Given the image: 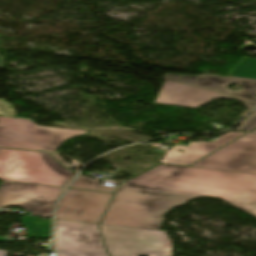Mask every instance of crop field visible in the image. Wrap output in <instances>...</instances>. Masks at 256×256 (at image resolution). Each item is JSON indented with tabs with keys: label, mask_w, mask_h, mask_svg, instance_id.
I'll use <instances>...</instances> for the list:
<instances>
[{
	"label": "crop field",
	"mask_w": 256,
	"mask_h": 256,
	"mask_svg": "<svg viewBox=\"0 0 256 256\" xmlns=\"http://www.w3.org/2000/svg\"><path fill=\"white\" fill-rule=\"evenodd\" d=\"M126 183L220 197L256 216V174L160 165Z\"/></svg>",
	"instance_id": "8a807250"
},
{
	"label": "crop field",
	"mask_w": 256,
	"mask_h": 256,
	"mask_svg": "<svg viewBox=\"0 0 256 256\" xmlns=\"http://www.w3.org/2000/svg\"><path fill=\"white\" fill-rule=\"evenodd\" d=\"M199 197L195 192L122 184L101 224L159 230L169 209Z\"/></svg>",
	"instance_id": "ac0d7876"
},
{
	"label": "crop field",
	"mask_w": 256,
	"mask_h": 256,
	"mask_svg": "<svg viewBox=\"0 0 256 256\" xmlns=\"http://www.w3.org/2000/svg\"><path fill=\"white\" fill-rule=\"evenodd\" d=\"M49 153L0 149V179L63 187L73 176Z\"/></svg>",
	"instance_id": "34b2d1b8"
},
{
	"label": "crop field",
	"mask_w": 256,
	"mask_h": 256,
	"mask_svg": "<svg viewBox=\"0 0 256 256\" xmlns=\"http://www.w3.org/2000/svg\"><path fill=\"white\" fill-rule=\"evenodd\" d=\"M82 134L85 131L38 126L33 120L0 118L1 147L54 152Z\"/></svg>",
	"instance_id": "412701ff"
},
{
	"label": "crop field",
	"mask_w": 256,
	"mask_h": 256,
	"mask_svg": "<svg viewBox=\"0 0 256 256\" xmlns=\"http://www.w3.org/2000/svg\"><path fill=\"white\" fill-rule=\"evenodd\" d=\"M112 256H171L172 246L165 231L100 226Z\"/></svg>",
	"instance_id": "f4fd0767"
},
{
	"label": "crop field",
	"mask_w": 256,
	"mask_h": 256,
	"mask_svg": "<svg viewBox=\"0 0 256 256\" xmlns=\"http://www.w3.org/2000/svg\"><path fill=\"white\" fill-rule=\"evenodd\" d=\"M98 225L56 221L57 256H108Z\"/></svg>",
	"instance_id": "dd49c442"
},
{
	"label": "crop field",
	"mask_w": 256,
	"mask_h": 256,
	"mask_svg": "<svg viewBox=\"0 0 256 256\" xmlns=\"http://www.w3.org/2000/svg\"><path fill=\"white\" fill-rule=\"evenodd\" d=\"M63 188L1 182L0 207L20 206L32 215L51 217L52 209Z\"/></svg>",
	"instance_id": "e52e79f7"
},
{
	"label": "crop field",
	"mask_w": 256,
	"mask_h": 256,
	"mask_svg": "<svg viewBox=\"0 0 256 256\" xmlns=\"http://www.w3.org/2000/svg\"><path fill=\"white\" fill-rule=\"evenodd\" d=\"M113 194L67 189L56 220L98 224Z\"/></svg>",
	"instance_id": "d8731c3e"
},
{
	"label": "crop field",
	"mask_w": 256,
	"mask_h": 256,
	"mask_svg": "<svg viewBox=\"0 0 256 256\" xmlns=\"http://www.w3.org/2000/svg\"><path fill=\"white\" fill-rule=\"evenodd\" d=\"M192 166L256 173V135L247 134Z\"/></svg>",
	"instance_id": "5a996713"
},
{
	"label": "crop field",
	"mask_w": 256,
	"mask_h": 256,
	"mask_svg": "<svg viewBox=\"0 0 256 256\" xmlns=\"http://www.w3.org/2000/svg\"><path fill=\"white\" fill-rule=\"evenodd\" d=\"M163 80L219 90L222 91L225 95L236 97L247 102L251 108L256 106V80L210 74H203L198 76L166 74ZM236 83L241 84L242 91L227 90L230 85Z\"/></svg>",
	"instance_id": "3316defc"
},
{
	"label": "crop field",
	"mask_w": 256,
	"mask_h": 256,
	"mask_svg": "<svg viewBox=\"0 0 256 256\" xmlns=\"http://www.w3.org/2000/svg\"><path fill=\"white\" fill-rule=\"evenodd\" d=\"M213 98H230V97H227L218 92H213V91H209V90H205L197 87L171 83V82H164L154 103L197 108L211 101ZM230 99H233V98H230ZM245 105L247 106V104Z\"/></svg>",
	"instance_id": "28ad6ade"
},
{
	"label": "crop field",
	"mask_w": 256,
	"mask_h": 256,
	"mask_svg": "<svg viewBox=\"0 0 256 256\" xmlns=\"http://www.w3.org/2000/svg\"><path fill=\"white\" fill-rule=\"evenodd\" d=\"M219 147L221 146L201 142H190L189 147L174 146L160 163L190 165ZM177 149H182L185 152L179 153L176 151Z\"/></svg>",
	"instance_id": "d1516ede"
},
{
	"label": "crop field",
	"mask_w": 256,
	"mask_h": 256,
	"mask_svg": "<svg viewBox=\"0 0 256 256\" xmlns=\"http://www.w3.org/2000/svg\"><path fill=\"white\" fill-rule=\"evenodd\" d=\"M101 181L95 180L92 178L78 176L69 188L73 189H82V190H91V191H100V192H109L114 193L117 188V185L114 187L105 186L100 184Z\"/></svg>",
	"instance_id": "22f410ed"
},
{
	"label": "crop field",
	"mask_w": 256,
	"mask_h": 256,
	"mask_svg": "<svg viewBox=\"0 0 256 256\" xmlns=\"http://www.w3.org/2000/svg\"><path fill=\"white\" fill-rule=\"evenodd\" d=\"M228 76L256 79V59L243 57Z\"/></svg>",
	"instance_id": "cbeb9de0"
},
{
	"label": "crop field",
	"mask_w": 256,
	"mask_h": 256,
	"mask_svg": "<svg viewBox=\"0 0 256 256\" xmlns=\"http://www.w3.org/2000/svg\"><path fill=\"white\" fill-rule=\"evenodd\" d=\"M254 127H256V110L252 112L247 118H245L242 121V124L235 129L241 131H248Z\"/></svg>",
	"instance_id": "5142ce71"
},
{
	"label": "crop field",
	"mask_w": 256,
	"mask_h": 256,
	"mask_svg": "<svg viewBox=\"0 0 256 256\" xmlns=\"http://www.w3.org/2000/svg\"><path fill=\"white\" fill-rule=\"evenodd\" d=\"M0 116L16 117L12 105L0 99Z\"/></svg>",
	"instance_id": "d9b57169"
},
{
	"label": "crop field",
	"mask_w": 256,
	"mask_h": 256,
	"mask_svg": "<svg viewBox=\"0 0 256 256\" xmlns=\"http://www.w3.org/2000/svg\"><path fill=\"white\" fill-rule=\"evenodd\" d=\"M229 141H231V139H226V138L219 137L216 141L207 142V143H214V144L224 145V144L228 143ZM201 142H205V141H201Z\"/></svg>",
	"instance_id": "733c2abd"
},
{
	"label": "crop field",
	"mask_w": 256,
	"mask_h": 256,
	"mask_svg": "<svg viewBox=\"0 0 256 256\" xmlns=\"http://www.w3.org/2000/svg\"><path fill=\"white\" fill-rule=\"evenodd\" d=\"M241 134H243V133L228 132V133L222 135L221 137H226V138L234 139V138L238 137V136L241 135Z\"/></svg>",
	"instance_id": "4a817a6b"
},
{
	"label": "crop field",
	"mask_w": 256,
	"mask_h": 256,
	"mask_svg": "<svg viewBox=\"0 0 256 256\" xmlns=\"http://www.w3.org/2000/svg\"><path fill=\"white\" fill-rule=\"evenodd\" d=\"M2 60H3V57L0 56V68H1Z\"/></svg>",
	"instance_id": "bc2a9ffb"
},
{
	"label": "crop field",
	"mask_w": 256,
	"mask_h": 256,
	"mask_svg": "<svg viewBox=\"0 0 256 256\" xmlns=\"http://www.w3.org/2000/svg\"><path fill=\"white\" fill-rule=\"evenodd\" d=\"M252 133H256V130L252 131Z\"/></svg>",
	"instance_id": "214f88e0"
}]
</instances>
